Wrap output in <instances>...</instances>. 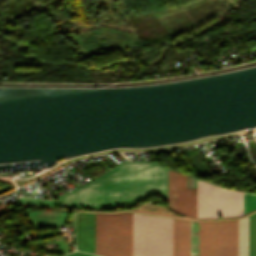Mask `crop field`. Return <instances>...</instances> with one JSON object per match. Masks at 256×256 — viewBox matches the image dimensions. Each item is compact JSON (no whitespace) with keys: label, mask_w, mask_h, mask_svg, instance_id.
Instances as JSON below:
<instances>
[{"label":"crop field","mask_w":256,"mask_h":256,"mask_svg":"<svg viewBox=\"0 0 256 256\" xmlns=\"http://www.w3.org/2000/svg\"><path fill=\"white\" fill-rule=\"evenodd\" d=\"M169 206L185 215L196 217V196H193V189H186V175L171 170H169Z\"/></svg>","instance_id":"6"},{"label":"crop field","mask_w":256,"mask_h":256,"mask_svg":"<svg viewBox=\"0 0 256 256\" xmlns=\"http://www.w3.org/2000/svg\"><path fill=\"white\" fill-rule=\"evenodd\" d=\"M243 194L241 193V215ZM240 215V193L197 180V217L219 218Z\"/></svg>","instance_id":"5"},{"label":"crop field","mask_w":256,"mask_h":256,"mask_svg":"<svg viewBox=\"0 0 256 256\" xmlns=\"http://www.w3.org/2000/svg\"><path fill=\"white\" fill-rule=\"evenodd\" d=\"M95 254L132 256V213L96 214Z\"/></svg>","instance_id":"4"},{"label":"crop field","mask_w":256,"mask_h":256,"mask_svg":"<svg viewBox=\"0 0 256 256\" xmlns=\"http://www.w3.org/2000/svg\"><path fill=\"white\" fill-rule=\"evenodd\" d=\"M249 256H256V213L249 216Z\"/></svg>","instance_id":"9"},{"label":"crop field","mask_w":256,"mask_h":256,"mask_svg":"<svg viewBox=\"0 0 256 256\" xmlns=\"http://www.w3.org/2000/svg\"><path fill=\"white\" fill-rule=\"evenodd\" d=\"M168 170L155 163H121L105 176L60 196L59 205L126 207L160 193L167 199Z\"/></svg>","instance_id":"1"},{"label":"crop field","mask_w":256,"mask_h":256,"mask_svg":"<svg viewBox=\"0 0 256 256\" xmlns=\"http://www.w3.org/2000/svg\"><path fill=\"white\" fill-rule=\"evenodd\" d=\"M133 256H172V219L133 214Z\"/></svg>","instance_id":"3"},{"label":"crop field","mask_w":256,"mask_h":256,"mask_svg":"<svg viewBox=\"0 0 256 256\" xmlns=\"http://www.w3.org/2000/svg\"><path fill=\"white\" fill-rule=\"evenodd\" d=\"M65 256H96V255L75 251V252H73L71 254H68V255H65Z\"/></svg>","instance_id":"11"},{"label":"crop field","mask_w":256,"mask_h":256,"mask_svg":"<svg viewBox=\"0 0 256 256\" xmlns=\"http://www.w3.org/2000/svg\"><path fill=\"white\" fill-rule=\"evenodd\" d=\"M191 252H198V227L194 226ZM173 256H190V221L173 219ZM199 256H237V220L199 222Z\"/></svg>","instance_id":"2"},{"label":"crop field","mask_w":256,"mask_h":256,"mask_svg":"<svg viewBox=\"0 0 256 256\" xmlns=\"http://www.w3.org/2000/svg\"><path fill=\"white\" fill-rule=\"evenodd\" d=\"M238 256H248V217L238 220Z\"/></svg>","instance_id":"8"},{"label":"crop field","mask_w":256,"mask_h":256,"mask_svg":"<svg viewBox=\"0 0 256 256\" xmlns=\"http://www.w3.org/2000/svg\"><path fill=\"white\" fill-rule=\"evenodd\" d=\"M95 214L77 213V250L94 254Z\"/></svg>","instance_id":"7"},{"label":"crop field","mask_w":256,"mask_h":256,"mask_svg":"<svg viewBox=\"0 0 256 256\" xmlns=\"http://www.w3.org/2000/svg\"><path fill=\"white\" fill-rule=\"evenodd\" d=\"M256 209V194L244 193V214Z\"/></svg>","instance_id":"10"}]
</instances>
